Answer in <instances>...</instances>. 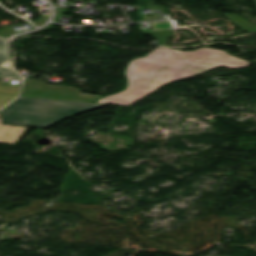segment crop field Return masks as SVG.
<instances>
[{"label":"crop field","instance_id":"1","mask_svg":"<svg viewBox=\"0 0 256 256\" xmlns=\"http://www.w3.org/2000/svg\"><path fill=\"white\" fill-rule=\"evenodd\" d=\"M247 65L248 62L221 50L200 48L181 51L158 47L149 55L129 62L125 72L128 81L125 90L96 102L131 105L171 81L186 79L219 66L241 68Z\"/></svg>","mask_w":256,"mask_h":256},{"label":"crop field","instance_id":"2","mask_svg":"<svg viewBox=\"0 0 256 256\" xmlns=\"http://www.w3.org/2000/svg\"><path fill=\"white\" fill-rule=\"evenodd\" d=\"M102 106L97 103L20 96L1 113L5 124L45 128L61 119Z\"/></svg>","mask_w":256,"mask_h":256},{"label":"crop field","instance_id":"3","mask_svg":"<svg viewBox=\"0 0 256 256\" xmlns=\"http://www.w3.org/2000/svg\"><path fill=\"white\" fill-rule=\"evenodd\" d=\"M74 87L50 85L44 81L25 79L21 95L92 102L98 95L80 94Z\"/></svg>","mask_w":256,"mask_h":256},{"label":"crop field","instance_id":"4","mask_svg":"<svg viewBox=\"0 0 256 256\" xmlns=\"http://www.w3.org/2000/svg\"><path fill=\"white\" fill-rule=\"evenodd\" d=\"M10 41L0 39V77L21 79V76L11 68Z\"/></svg>","mask_w":256,"mask_h":256},{"label":"crop field","instance_id":"5","mask_svg":"<svg viewBox=\"0 0 256 256\" xmlns=\"http://www.w3.org/2000/svg\"><path fill=\"white\" fill-rule=\"evenodd\" d=\"M26 130L27 128L24 127L0 124V143L6 142L11 145H15L16 142H19Z\"/></svg>","mask_w":256,"mask_h":256},{"label":"crop field","instance_id":"6","mask_svg":"<svg viewBox=\"0 0 256 256\" xmlns=\"http://www.w3.org/2000/svg\"><path fill=\"white\" fill-rule=\"evenodd\" d=\"M224 15L227 16L230 20H232L236 25H238L244 31H247V32H255L256 31V26L251 25L246 20H244L242 17L236 16V15H229V14H224Z\"/></svg>","mask_w":256,"mask_h":256},{"label":"crop field","instance_id":"7","mask_svg":"<svg viewBox=\"0 0 256 256\" xmlns=\"http://www.w3.org/2000/svg\"><path fill=\"white\" fill-rule=\"evenodd\" d=\"M143 33L154 35L157 39H159V45L162 46H166L167 36H173L172 30Z\"/></svg>","mask_w":256,"mask_h":256},{"label":"crop field","instance_id":"8","mask_svg":"<svg viewBox=\"0 0 256 256\" xmlns=\"http://www.w3.org/2000/svg\"><path fill=\"white\" fill-rule=\"evenodd\" d=\"M20 87L17 86H6L0 82V93L6 94H19Z\"/></svg>","mask_w":256,"mask_h":256},{"label":"crop field","instance_id":"9","mask_svg":"<svg viewBox=\"0 0 256 256\" xmlns=\"http://www.w3.org/2000/svg\"><path fill=\"white\" fill-rule=\"evenodd\" d=\"M17 96L0 94V108L12 101ZM2 109V108H1Z\"/></svg>","mask_w":256,"mask_h":256}]
</instances>
